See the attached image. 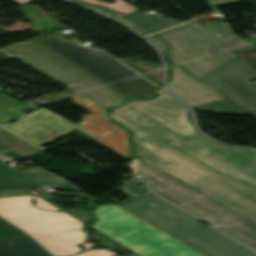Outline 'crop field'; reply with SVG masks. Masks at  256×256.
<instances>
[{
    "label": "crop field",
    "instance_id": "obj_1",
    "mask_svg": "<svg viewBox=\"0 0 256 256\" xmlns=\"http://www.w3.org/2000/svg\"><path fill=\"white\" fill-rule=\"evenodd\" d=\"M152 101L136 100L113 113L187 154L214 171L256 189V152L225 147L199 135L186 117L189 111L163 90Z\"/></svg>",
    "mask_w": 256,
    "mask_h": 256
},
{
    "label": "crop field",
    "instance_id": "obj_2",
    "mask_svg": "<svg viewBox=\"0 0 256 256\" xmlns=\"http://www.w3.org/2000/svg\"><path fill=\"white\" fill-rule=\"evenodd\" d=\"M109 115L133 133L137 158L256 222L255 189L219 175L115 114Z\"/></svg>",
    "mask_w": 256,
    "mask_h": 256
},
{
    "label": "crop field",
    "instance_id": "obj_3",
    "mask_svg": "<svg viewBox=\"0 0 256 256\" xmlns=\"http://www.w3.org/2000/svg\"><path fill=\"white\" fill-rule=\"evenodd\" d=\"M67 91L71 100L91 112L82 116V121L74 124L42 107L6 128L38 147L76 129L120 155L131 158V144L128 142L126 130L111 121L105 115V109L69 89Z\"/></svg>",
    "mask_w": 256,
    "mask_h": 256
},
{
    "label": "crop field",
    "instance_id": "obj_4",
    "mask_svg": "<svg viewBox=\"0 0 256 256\" xmlns=\"http://www.w3.org/2000/svg\"><path fill=\"white\" fill-rule=\"evenodd\" d=\"M148 187L156 194L256 250V223L207 196L134 159L130 163Z\"/></svg>",
    "mask_w": 256,
    "mask_h": 256
},
{
    "label": "crop field",
    "instance_id": "obj_5",
    "mask_svg": "<svg viewBox=\"0 0 256 256\" xmlns=\"http://www.w3.org/2000/svg\"><path fill=\"white\" fill-rule=\"evenodd\" d=\"M119 205L207 256H256L255 252L198 223L197 218L151 193ZM174 220H180L181 224L173 223Z\"/></svg>",
    "mask_w": 256,
    "mask_h": 256
},
{
    "label": "crop field",
    "instance_id": "obj_6",
    "mask_svg": "<svg viewBox=\"0 0 256 256\" xmlns=\"http://www.w3.org/2000/svg\"><path fill=\"white\" fill-rule=\"evenodd\" d=\"M32 196L0 198V215L20 226L56 256L82 251L84 223L64 212H48L31 206Z\"/></svg>",
    "mask_w": 256,
    "mask_h": 256
},
{
    "label": "crop field",
    "instance_id": "obj_7",
    "mask_svg": "<svg viewBox=\"0 0 256 256\" xmlns=\"http://www.w3.org/2000/svg\"><path fill=\"white\" fill-rule=\"evenodd\" d=\"M14 57L105 109L128 101L127 98L33 39L0 48V59Z\"/></svg>",
    "mask_w": 256,
    "mask_h": 256
},
{
    "label": "crop field",
    "instance_id": "obj_8",
    "mask_svg": "<svg viewBox=\"0 0 256 256\" xmlns=\"http://www.w3.org/2000/svg\"><path fill=\"white\" fill-rule=\"evenodd\" d=\"M117 207L95 209L91 226L140 256H204Z\"/></svg>",
    "mask_w": 256,
    "mask_h": 256
},
{
    "label": "crop field",
    "instance_id": "obj_9",
    "mask_svg": "<svg viewBox=\"0 0 256 256\" xmlns=\"http://www.w3.org/2000/svg\"><path fill=\"white\" fill-rule=\"evenodd\" d=\"M202 27L194 20L159 33L169 43V60L199 80L239 60Z\"/></svg>",
    "mask_w": 256,
    "mask_h": 256
},
{
    "label": "crop field",
    "instance_id": "obj_10",
    "mask_svg": "<svg viewBox=\"0 0 256 256\" xmlns=\"http://www.w3.org/2000/svg\"><path fill=\"white\" fill-rule=\"evenodd\" d=\"M34 39L130 100L154 95V85L135 77L132 70L103 51L63 42L52 33Z\"/></svg>",
    "mask_w": 256,
    "mask_h": 256
},
{
    "label": "crop field",
    "instance_id": "obj_11",
    "mask_svg": "<svg viewBox=\"0 0 256 256\" xmlns=\"http://www.w3.org/2000/svg\"><path fill=\"white\" fill-rule=\"evenodd\" d=\"M246 63V62H245ZM242 60L201 82L256 118V72Z\"/></svg>",
    "mask_w": 256,
    "mask_h": 256
},
{
    "label": "crop field",
    "instance_id": "obj_12",
    "mask_svg": "<svg viewBox=\"0 0 256 256\" xmlns=\"http://www.w3.org/2000/svg\"><path fill=\"white\" fill-rule=\"evenodd\" d=\"M169 91L199 111L216 113L245 114L213 90L194 80L181 69L175 67L173 80L167 85Z\"/></svg>",
    "mask_w": 256,
    "mask_h": 256
},
{
    "label": "crop field",
    "instance_id": "obj_13",
    "mask_svg": "<svg viewBox=\"0 0 256 256\" xmlns=\"http://www.w3.org/2000/svg\"><path fill=\"white\" fill-rule=\"evenodd\" d=\"M44 186L80 192L39 168L18 173L12 167L0 161V191Z\"/></svg>",
    "mask_w": 256,
    "mask_h": 256
},
{
    "label": "crop field",
    "instance_id": "obj_14",
    "mask_svg": "<svg viewBox=\"0 0 256 256\" xmlns=\"http://www.w3.org/2000/svg\"><path fill=\"white\" fill-rule=\"evenodd\" d=\"M0 256H51L28 235L0 241Z\"/></svg>",
    "mask_w": 256,
    "mask_h": 256
},
{
    "label": "crop field",
    "instance_id": "obj_15",
    "mask_svg": "<svg viewBox=\"0 0 256 256\" xmlns=\"http://www.w3.org/2000/svg\"><path fill=\"white\" fill-rule=\"evenodd\" d=\"M202 26L234 53L256 47L234 34L224 21L211 22Z\"/></svg>",
    "mask_w": 256,
    "mask_h": 256
},
{
    "label": "crop field",
    "instance_id": "obj_16",
    "mask_svg": "<svg viewBox=\"0 0 256 256\" xmlns=\"http://www.w3.org/2000/svg\"><path fill=\"white\" fill-rule=\"evenodd\" d=\"M119 60L124 62L128 66L132 67L139 73L143 74L144 76H146L151 81H153L155 84L158 85V84L162 83V70L156 68L155 66H153L149 63H145V62L129 60L127 58H120Z\"/></svg>",
    "mask_w": 256,
    "mask_h": 256
},
{
    "label": "crop field",
    "instance_id": "obj_17",
    "mask_svg": "<svg viewBox=\"0 0 256 256\" xmlns=\"http://www.w3.org/2000/svg\"><path fill=\"white\" fill-rule=\"evenodd\" d=\"M127 15L132 16L133 18H135L136 20H138L139 22H141L142 24H144L145 26H147L148 28H150L155 32L189 21L187 20L184 22H180V21L173 20L171 18H165L161 21L154 22L149 18L141 15L139 12H135Z\"/></svg>",
    "mask_w": 256,
    "mask_h": 256
},
{
    "label": "crop field",
    "instance_id": "obj_18",
    "mask_svg": "<svg viewBox=\"0 0 256 256\" xmlns=\"http://www.w3.org/2000/svg\"><path fill=\"white\" fill-rule=\"evenodd\" d=\"M0 139L25 155L38 151L37 149L23 143L22 141H20L19 139H17L13 135H11L10 133L2 129L1 127H0Z\"/></svg>",
    "mask_w": 256,
    "mask_h": 256
},
{
    "label": "crop field",
    "instance_id": "obj_19",
    "mask_svg": "<svg viewBox=\"0 0 256 256\" xmlns=\"http://www.w3.org/2000/svg\"><path fill=\"white\" fill-rule=\"evenodd\" d=\"M82 1H85L89 4H99V5H103V6H106V7H109L111 9H114V10H117L119 12H122V13H125V12H129V11H133L135 9H138L137 7L123 1V0H117L116 2L108 5V4H105V3H102V2H99V1H96V0H82Z\"/></svg>",
    "mask_w": 256,
    "mask_h": 256
},
{
    "label": "crop field",
    "instance_id": "obj_20",
    "mask_svg": "<svg viewBox=\"0 0 256 256\" xmlns=\"http://www.w3.org/2000/svg\"><path fill=\"white\" fill-rule=\"evenodd\" d=\"M24 234L21 230L0 218V240Z\"/></svg>",
    "mask_w": 256,
    "mask_h": 256
},
{
    "label": "crop field",
    "instance_id": "obj_21",
    "mask_svg": "<svg viewBox=\"0 0 256 256\" xmlns=\"http://www.w3.org/2000/svg\"><path fill=\"white\" fill-rule=\"evenodd\" d=\"M117 21L121 22L122 24L129 27L136 33L140 34L141 36H145L147 34L152 33L150 30H148L147 28H145L144 26H142L141 24H139L138 22H136L135 20H133L129 17L123 16V17L117 19Z\"/></svg>",
    "mask_w": 256,
    "mask_h": 256
},
{
    "label": "crop field",
    "instance_id": "obj_22",
    "mask_svg": "<svg viewBox=\"0 0 256 256\" xmlns=\"http://www.w3.org/2000/svg\"><path fill=\"white\" fill-rule=\"evenodd\" d=\"M122 191L126 192L127 194L131 196H136L141 193L147 192L145 189L139 187L138 185L126 180L124 182V187L122 188Z\"/></svg>",
    "mask_w": 256,
    "mask_h": 256
},
{
    "label": "crop field",
    "instance_id": "obj_23",
    "mask_svg": "<svg viewBox=\"0 0 256 256\" xmlns=\"http://www.w3.org/2000/svg\"><path fill=\"white\" fill-rule=\"evenodd\" d=\"M238 55L256 71V49L239 53Z\"/></svg>",
    "mask_w": 256,
    "mask_h": 256
},
{
    "label": "crop field",
    "instance_id": "obj_24",
    "mask_svg": "<svg viewBox=\"0 0 256 256\" xmlns=\"http://www.w3.org/2000/svg\"><path fill=\"white\" fill-rule=\"evenodd\" d=\"M146 39L158 49V51L163 55V57H166L165 56L166 44L156 34L150 35L146 37Z\"/></svg>",
    "mask_w": 256,
    "mask_h": 256
},
{
    "label": "crop field",
    "instance_id": "obj_25",
    "mask_svg": "<svg viewBox=\"0 0 256 256\" xmlns=\"http://www.w3.org/2000/svg\"><path fill=\"white\" fill-rule=\"evenodd\" d=\"M72 1H74V2H76V3H78V4H81V5H83V6H86V7H88V8H91V9H93V10H95V11L101 13V14H104V15L110 17V18H115V17H117V16L120 15V14L115 13V12H113V11H110V10L104 8V7L89 6V5H86V4H83V3L79 2V1H77V0H72Z\"/></svg>",
    "mask_w": 256,
    "mask_h": 256
},
{
    "label": "crop field",
    "instance_id": "obj_26",
    "mask_svg": "<svg viewBox=\"0 0 256 256\" xmlns=\"http://www.w3.org/2000/svg\"><path fill=\"white\" fill-rule=\"evenodd\" d=\"M116 253H111L107 250H96V251H87L85 253L75 255V256H113Z\"/></svg>",
    "mask_w": 256,
    "mask_h": 256
},
{
    "label": "crop field",
    "instance_id": "obj_27",
    "mask_svg": "<svg viewBox=\"0 0 256 256\" xmlns=\"http://www.w3.org/2000/svg\"><path fill=\"white\" fill-rule=\"evenodd\" d=\"M34 200L36 201L35 205L41 209L45 210H53V211H59L60 209L52 206L51 204L45 202L44 200L34 196Z\"/></svg>",
    "mask_w": 256,
    "mask_h": 256
},
{
    "label": "crop field",
    "instance_id": "obj_28",
    "mask_svg": "<svg viewBox=\"0 0 256 256\" xmlns=\"http://www.w3.org/2000/svg\"><path fill=\"white\" fill-rule=\"evenodd\" d=\"M211 5L215 4H221V3H228V2H234L238 0H207Z\"/></svg>",
    "mask_w": 256,
    "mask_h": 256
},
{
    "label": "crop field",
    "instance_id": "obj_29",
    "mask_svg": "<svg viewBox=\"0 0 256 256\" xmlns=\"http://www.w3.org/2000/svg\"><path fill=\"white\" fill-rule=\"evenodd\" d=\"M11 149L10 147H8L7 145H5L4 143L0 142V151H6Z\"/></svg>",
    "mask_w": 256,
    "mask_h": 256
},
{
    "label": "crop field",
    "instance_id": "obj_30",
    "mask_svg": "<svg viewBox=\"0 0 256 256\" xmlns=\"http://www.w3.org/2000/svg\"><path fill=\"white\" fill-rule=\"evenodd\" d=\"M14 1H16L22 5H25V4L35 1V0H14Z\"/></svg>",
    "mask_w": 256,
    "mask_h": 256
},
{
    "label": "crop field",
    "instance_id": "obj_31",
    "mask_svg": "<svg viewBox=\"0 0 256 256\" xmlns=\"http://www.w3.org/2000/svg\"><path fill=\"white\" fill-rule=\"evenodd\" d=\"M132 256H138V255L134 254V255H132Z\"/></svg>",
    "mask_w": 256,
    "mask_h": 256
},
{
    "label": "crop field",
    "instance_id": "obj_32",
    "mask_svg": "<svg viewBox=\"0 0 256 256\" xmlns=\"http://www.w3.org/2000/svg\"><path fill=\"white\" fill-rule=\"evenodd\" d=\"M1 141V140H0ZM3 142V141H2ZM6 144V143H5ZM9 146V145H8ZM11 147V146H10Z\"/></svg>",
    "mask_w": 256,
    "mask_h": 256
},
{
    "label": "crop field",
    "instance_id": "obj_33",
    "mask_svg": "<svg viewBox=\"0 0 256 256\" xmlns=\"http://www.w3.org/2000/svg\"><path fill=\"white\" fill-rule=\"evenodd\" d=\"M116 256H119V255H116Z\"/></svg>",
    "mask_w": 256,
    "mask_h": 256
}]
</instances>
